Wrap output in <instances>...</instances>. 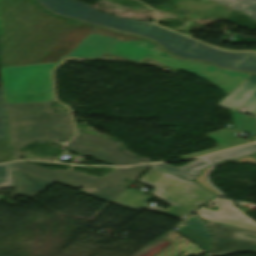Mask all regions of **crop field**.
I'll return each mask as SVG.
<instances>
[{
	"label": "crop field",
	"mask_w": 256,
	"mask_h": 256,
	"mask_svg": "<svg viewBox=\"0 0 256 256\" xmlns=\"http://www.w3.org/2000/svg\"><path fill=\"white\" fill-rule=\"evenodd\" d=\"M104 53L138 62L148 58L175 70H186L209 80L228 95L250 76L209 63L179 60L150 40L100 27L67 57L98 59ZM60 61L0 66L14 160L20 159V148L37 139L68 141L74 136L69 112L54 114L48 106L54 100L50 70Z\"/></svg>",
	"instance_id": "crop-field-1"
},
{
	"label": "crop field",
	"mask_w": 256,
	"mask_h": 256,
	"mask_svg": "<svg viewBox=\"0 0 256 256\" xmlns=\"http://www.w3.org/2000/svg\"><path fill=\"white\" fill-rule=\"evenodd\" d=\"M95 28L34 0H0V65L60 60Z\"/></svg>",
	"instance_id": "crop-field-2"
},
{
	"label": "crop field",
	"mask_w": 256,
	"mask_h": 256,
	"mask_svg": "<svg viewBox=\"0 0 256 256\" xmlns=\"http://www.w3.org/2000/svg\"><path fill=\"white\" fill-rule=\"evenodd\" d=\"M47 10L83 22L152 39L171 54L190 60L212 62L219 67L256 74V52H226L161 28L153 22L117 18L76 0H37Z\"/></svg>",
	"instance_id": "crop-field-3"
},
{
	"label": "crop field",
	"mask_w": 256,
	"mask_h": 256,
	"mask_svg": "<svg viewBox=\"0 0 256 256\" xmlns=\"http://www.w3.org/2000/svg\"><path fill=\"white\" fill-rule=\"evenodd\" d=\"M139 182L155 187L149 193L171 204L168 209L148 205L146 210L180 219H183L196 208L214 197L212 193L204 190L195 182L156 167L141 178Z\"/></svg>",
	"instance_id": "crop-field-4"
},
{
	"label": "crop field",
	"mask_w": 256,
	"mask_h": 256,
	"mask_svg": "<svg viewBox=\"0 0 256 256\" xmlns=\"http://www.w3.org/2000/svg\"><path fill=\"white\" fill-rule=\"evenodd\" d=\"M151 165L153 164L131 168H114L102 178L91 177L70 170H48L25 162L13 163L12 167L76 189L83 184L99 188L101 189L100 192L94 197L111 202L126 189L118 184L122 179L129 175L136 180Z\"/></svg>",
	"instance_id": "crop-field-5"
},
{
	"label": "crop field",
	"mask_w": 256,
	"mask_h": 256,
	"mask_svg": "<svg viewBox=\"0 0 256 256\" xmlns=\"http://www.w3.org/2000/svg\"><path fill=\"white\" fill-rule=\"evenodd\" d=\"M66 146L72 153L92 157L107 164L125 166L142 163L139 159L127 157L119 152L115 141L85 133H79Z\"/></svg>",
	"instance_id": "crop-field-6"
},
{
	"label": "crop field",
	"mask_w": 256,
	"mask_h": 256,
	"mask_svg": "<svg viewBox=\"0 0 256 256\" xmlns=\"http://www.w3.org/2000/svg\"><path fill=\"white\" fill-rule=\"evenodd\" d=\"M214 235L212 250L204 256H227L240 251L256 252V239L242 233L256 236V233L205 221Z\"/></svg>",
	"instance_id": "crop-field-7"
},
{
	"label": "crop field",
	"mask_w": 256,
	"mask_h": 256,
	"mask_svg": "<svg viewBox=\"0 0 256 256\" xmlns=\"http://www.w3.org/2000/svg\"><path fill=\"white\" fill-rule=\"evenodd\" d=\"M187 225L181 226V233H183L186 237H188L192 242H194L196 245H198L201 249L204 251H208L210 249V243H211V235L206 227V225L198 219L195 215L191 218L184 221ZM162 237L155 240L153 243L142 249L140 252L135 254L134 256H153L160 250H162L164 247H166L168 244H170L172 241L163 240L162 242L152 246L159 240H161ZM151 247V249H148ZM178 252V251H177Z\"/></svg>",
	"instance_id": "crop-field-8"
},
{
	"label": "crop field",
	"mask_w": 256,
	"mask_h": 256,
	"mask_svg": "<svg viewBox=\"0 0 256 256\" xmlns=\"http://www.w3.org/2000/svg\"><path fill=\"white\" fill-rule=\"evenodd\" d=\"M213 203L219 204L217 211L202 208L196 214L205 220L256 231V222L233 206L232 201L217 198Z\"/></svg>",
	"instance_id": "crop-field-9"
},
{
	"label": "crop field",
	"mask_w": 256,
	"mask_h": 256,
	"mask_svg": "<svg viewBox=\"0 0 256 256\" xmlns=\"http://www.w3.org/2000/svg\"><path fill=\"white\" fill-rule=\"evenodd\" d=\"M219 106L238 111L241 107L246 112L256 114V76L251 75L236 90L226 97Z\"/></svg>",
	"instance_id": "crop-field-10"
},
{
	"label": "crop field",
	"mask_w": 256,
	"mask_h": 256,
	"mask_svg": "<svg viewBox=\"0 0 256 256\" xmlns=\"http://www.w3.org/2000/svg\"><path fill=\"white\" fill-rule=\"evenodd\" d=\"M12 177L15 194L17 195H27L35 197L46 187H48L51 183H53L51 181L42 179L40 177L13 168Z\"/></svg>",
	"instance_id": "crop-field-11"
},
{
	"label": "crop field",
	"mask_w": 256,
	"mask_h": 256,
	"mask_svg": "<svg viewBox=\"0 0 256 256\" xmlns=\"http://www.w3.org/2000/svg\"><path fill=\"white\" fill-rule=\"evenodd\" d=\"M176 7L192 11L189 18H196V19H203L210 15L225 18L228 12L220 7L191 2L187 0H179Z\"/></svg>",
	"instance_id": "crop-field-12"
},
{
	"label": "crop field",
	"mask_w": 256,
	"mask_h": 256,
	"mask_svg": "<svg viewBox=\"0 0 256 256\" xmlns=\"http://www.w3.org/2000/svg\"><path fill=\"white\" fill-rule=\"evenodd\" d=\"M151 199H153V197L139 190L126 189L120 196L112 201V203L139 211L147 205Z\"/></svg>",
	"instance_id": "crop-field-13"
},
{
	"label": "crop field",
	"mask_w": 256,
	"mask_h": 256,
	"mask_svg": "<svg viewBox=\"0 0 256 256\" xmlns=\"http://www.w3.org/2000/svg\"><path fill=\"white\" fill-rule=\"evenodd\" d=\"M155 166L162 168L164 170L170 171L178 176H181V177L191 180V179L195 178L196 176H198L200 171L204 167L209 166V164L207 162H205L202 158H200L191 163L183 165L179 168H176L174 166H171V165L165 164V163H160Z\"/></svg>",
	"instance_id": "crop-field-14"
},
{
	"label": "crop field",
	"mask_w": 256,
	"mask_h": 256,
	"mask_svg": "<svg viewBox=\"0 0 256 256\" xmlns=\"http://www.w3.org/2000/svg\"><path fill=\"white\" fill-rule=\"evenodd\" d=\"M234 127L256 136V116L232 111ZM238 119V121H236ZM256 141V137L253 139Z\"/></svg>",
	"instance_id": "crop-field-15"
},
{
	"label": "crop field",
	"mask_w": 256,
	"mask_h": 256,
	"mask_svg": "<svg viewBox=\"0 0 256 256\" xmlns=\"http://www.w3.org/2000/svg\"><path fill=\"white\" fill-rule=\"evenodd\" d=\"M254 152H256V144L242 147V148L235 149V150H231V151H227L224 153L208 156V157H205V159H207L211 163L215 164V163L221 162L223 160L241 158L243 156L252 154Z\"/></svg>",
	"instance_id": "crop-field-16"
},
{
	"label": "crop field",
	"mask_w": 256,
	"mask_h": 256,
	"mask_svg": "<svg viewBox=\"0 0 256 256\" xmlns=\"http://www.w3.org/2000/svg\"><path fill=\"white\" fill-rule=\"evenodd\" d=\"M229 5L232 9H238L256 20V0H215Z\"/></svg>",
	"instance_id": "crop-field-17"
},
{
	"label": "crop field",
	"mask_w": 256,
	"mask_h": 256,
	"mask_svg": "<svg viewBox=\"0 0 256 256\" xmlns=\"http://www.w3.org/2000/svg\"><path fill=\"white\" fill-rule=\"evenodd\" d=\"M4 154L9 156V159H6ZM12 160L11 150L8 149L7 136L5 130L4 120L0 121V163Z\"/></svg>",
	"instance_id": "crop-field-18"
},
{
	"label": "crop field",
	"mask_w": 256,
	"mask_h": 256,
	"mask_svg": "<svg viewBox=\"0 0 256 256\" xmlns=\"http://www.w3.org/2000/svg\"><path fill=\"white\" fill-rule=\"evenodd\" d=\"M12 185L9 164L0 165V187Z\"/></svg>",
	"instance_id": "crop-field-19"
},
{
	"label": "crop field",
	"mask_w": 256,
	"mask_h": 256,
	"mask_svg": "<svg viewBox=\"0 0 256 256\" xmlns=\"http://www.w3.org/2000/svg\"><path fill=\"white\" fill-rule=\"evenodd\" d=\"M81 188H85L86 191H83L91 196L95 195L96 193L99 192V189H95V188H92V187H89V186H85L83 185Z\"/></svg>",
	"instance_id": "crop-field-20"
},
{
	"label": "crop field",
	"mask_w": 256,
	"mask_h": 256,
	"mask_svg": "<svg viewBox=\"0 0 256 256\" xmlns=\"http://www.w3.org/2000/svg\"><path fill=\"white\" fill-rule=\"evenodd\" d=\"M4 119L3 115V105H2V97H1V91H0V120Z\"/></svg>",
	"instance_id": "crop-field-21"
},
{
	"label": "crop field",
	"mask_w": 256,
	"mask_h": 256,
	"mask_svg": "<svg viewBox=\"0 0 256 256\" xmlns=\"http://www.w3.org/2000/svg\"><path fill=\"white\" fill-rule=\"evenodd\" d=\"M251 157H253V158L256 160V154H255V155H252Z\"/></svg>",
	"instance_id": "crop-field-22"
},
{
	"label": "crop field",
	"mask_w": 256,
	"mask_h": 256,
	"mask_svg": "<svg viewBox=\"0 0 256 256\" xmlns=\"http://www.w3.org/2000/svg\"><path fill=\"white\" fill-rule=\"evenodd\" d=\"M1 199V198H0Z\"/></svg>",
	"instance_id": "crop-field-23"
}]
</instances>
